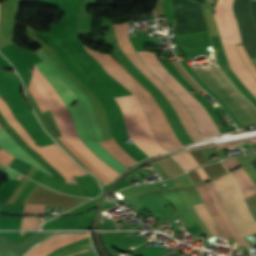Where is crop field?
Segmentation results:
<instances>
[{"mask_svg":"<svg viewBox=\"0 0 256 256\" xmlns=\"http://www.w3.org/2000/svg\"><path fill=\"white\" fill-rule=\"evenodd\" d=\"M233 2L234 0H218L214 10V20L217 24L230 68L256 98V80L241 61L234 46V44L242 43V41L233 13Z\"/></svg>","mask_w":256,"mask_h":256,"instance_id":"8a807250","label":"crop field"},{"mask_svg":"<svg viewBox=\"0 0 256 256\" xmlns=\"http://www.w3.org/2000/svg\"><path fill=\"white\" fill-rule=\"evenodd\" d=\"M142 61L149 69L177 96L187 92L177 80L159 62L155 53L138 52ZM180 100L194 116L200 132L204 137L218 134L219 131L205 108L189 93L179 96Z\"/></svg>","mask_w":256,"mask_h":256,"instance_id":"ac0d7876","label":"crop field"},{"mask_svg":"<svg viewBox=\"0 0 256 256\" xmlns=\"http://www.w3.org/2000/svg\"><path fill=\"white\" fill-rule=\"evenodd\" d=\"M115 34L122 52L135 64V66L165 95L177 112L181 122L185 126L192 140L195 142L204 138L197 130L194 120L188 109L166 88L140 61L134 51L128 32V22L124 24H114Z\"/></svg>","mask_w":256,"mask_h":256,"instance_id":"34b2d1b8","label":"crop field"},{"mask_svg":"<svg viewBox=\"0 0 256 256\" xmlns=\"http://www.w3.org/2000/svg\"><path fill=\"white\" fill-rule=\"evenodd\" d=\"M115 100L122 111L130 138L149 156L164 152L165 150L154 139L138 100L133 95L117 97Z\"/></svg>","mask_w":256,"mask_h":256,"instance_id":"412701ff","label":"crop field"},{"mask_svg":"<svg viewBox=\"0 0 256 256\" xmlns=\"http://www.w3.org/2000/svg\"><path fill=\"white\" fill-rule=\"evenodd\" d=\"M213 183L242 237L256 233V225L232 176L227 173L213 180Z\"/></svg>","mask_w":256,"mask_h":256,"instance_id":"f4fd0767","label":"crop field"},{"mask_svg":"<svg viewBox=\"0 0 256 256\" xmlns=\"http://www.w3.org/2000/svg\"><path fill=\"white\" fill-rule=\"evenodd\" d=\"M104 57H106L117 69H119L125 76H127L131 81H133L137 86L140 87V89L145 93V95L148 97V99L152 102L154 108L156 109L159 117L161 118L164 128L172 141V143L177 147H182L181 143L178 141V139L175 137L170 125L168 124L164 114L160 110L158 104L155 102L151 94L135 79L133 78L124 68H122L119 63L113 59L110 55L102 54Z\"/></svg>","mask_w":256,"mask_h":256,"instance_id":"dd49c442","label":"crop field"},{"mask_svg":"<svg viewBox=\"0 0 256 256\" xmlns=\"http://www.w3.org/2000/svg\"><path fill=\"white\" fill-rule=\"evenodd\" d=\"M7 121L32 149L38 152L43 158H45L53 167H55L63 175L66 182L76 183L73 177L59 163H57L53 158H51L48 154H46L41 148L35 145V142L27 134V132L21 127V125L17 122V120H7Z\"/></svg>","mask_w":256,"mask_h":256,"instance_id":"e52e79f7","label":"crop field"},{"mask_svg":"<svg viewBox=\"0 0 256 256\" xmlns=\"http://www.w3.org/2000/svg\"><path fill=\"white\" fill-rule=\"evenodd\" d=\"M35 66L44 75V77L50 82L51 86L56 90V92L62 98L65 105L70 104L75 98H77L72 93V91L46 67V65L43 62L36 64Z\"/></svg>","mask_w":256,"mask_h":256,"instance_id":"d8731c3e","label":"crop field"},{"mask_svg":"<svg viewBox=\"0 0 256 256\" xmlns=\"http://www.w3.org/2000/svg\"><path fill=\"white\" fill-rule=\"evenodd\" d=\"M43 149L58 161L71 175L86 174L56 144L43 147Z\"/></svg>","mask_w":256,"mask_h":256,"instance_id":"5a996713","label":"crop field"},{"mask_svg":"<svg viewBox=\"0 0 256 256\" xmlns=\"http://www.w3.org/2000/svg\"><path fill=\"white\" fill-rule=\"evenodd\" d=\"M208 190L210 191L213 199H214V202L220 212V214L222 215L223 219L225 220L227 226L229 227V229L231 230L233 236L236 238V240L238 241L239 243V246H243V245H246L243 241V239L241 238V236L239 235V233L237 232L236 228L234 227V225L232 224L229 216H228V213L224 207V205L222 204L213 184L211 183V181L205 183ZM244 247H247V246H243L241 248H244Z\"/></svg>","mask_w":256,"mask_h":256,"instance_id":"3316defc","label":"crop field"},{"mask_svg":"<svg viewBox=\"0 0 256 256\" xmlns=\"http://www.w3.org/2000/svg\"><path fill=\"white\" fill-rule=\"evenodd\" d=\"M198 191L200 192L207 208L210 210L212 216L214 217L215 221L217 222V224L219 225L220 229L222 230L224 236L226 235V233L229 231L224 220L222 219V217L220 216V214L218 213L210 193L208 192V190L206 189L205 185H200L197 186Z\"/></svg>","mask_w":256,"mask_h":256,"instance_id":"28ad6ade","label":"crop field"},{"mask_svg":"<svg viewBox=\"0 0 256 256\" xmlns=\"http://www.w3.org/2000/svg\"><path fill=\"white\" fill-rule=\"evenodd\" d=\"M89 235H64L60 239L44 246L39 251H37L32 256H46L48 253L52 252L53 250L65 246L67 244L73 243L77 240L83 239L88 237Z\"/></svg>","mask_w":256,"mask_h":256,"instance_id":"d1516ede","label":"crop field"},{"mask_svg":"<svg viewBox=\"0 0 256 256\" xmlns=\"http://www.w3.org/2000/svg\"><path fill=\"white\" fill-rule=\"evenodd\" d=\"M100 144L118 161L122 163L126 168L130 165L136 163L130 156H128L113 140H108L104 142H100Z\"/></svg>","mask_w":256,"mask_h":256,"instance_id":"22f410ed","label":"crop field"},{"mask_svg":"<svg viewBox=\"0 0 256 256\" xmlns=\"http://www.w3.org/2000/svg\"><path fill=\"white\" fill-rule=\"evenodd\" d=\"M194 207H195V210L198 213V215L201 217V219L205 223V225H207L211 235H217L218 236V234H219V236L223 237V235L221 234L218 227L215 228V230L217 231L218 234L214 230L213 227H215L217 225H216L215 221L212 219V217L210 216V214H209L208 210L205 208V206L203 204H201V205H196Z\"/></svg>","mask_w":256,"mask_h":256,"instance_id":"cbeb9de0","label":"crop field"},{"mask_svg":"<svg viewBox=\"0 0 256 256\" xmlns=\"http://www.w3.org/2000/svg\"><path fill=\"white\" fill-rule=\"evenodd\" d=\"M64 146L70 150L74 155L78 157V159L81 161V163L89 168L91 171H93L97 177L102 181L103 184L109 182L108 178L103 175L100 171H98L95 167H93L75 148H73L67 141H65L62 137L58 138Z\"/></svg>","mask_w":256,"mask_h":256,"instance_id":"5142ce71","label":"crop field"},{"mask_svg":"<svg viewBox=\"0 0 256 256\" xmlns=\"http://www.w3.org/2000/svg\"><path fill=\"white\" fill-rule=\"evenodd\" d=\"M28 90L30 91L33 98L37 102L41 112L49 109L46 102L44 101L43 97L40 95L38 89L36 88V86L34 85V83L31 80H30Z\"/></svg>","mask_w":256,"mask_h":256,"instance_id":"d9b57169","label":"crop field"},{"mask_svg":"<svg viewBox=\"0 0 256 256\" xmlns=\"http://www.w3.org/2000/svg\"><path fill=\"white\" fill-rule=\"evenodd\" d=\"M236 46H237V49H238L243 61L245 62V64L248 66V68L251 70V72L256 77V68H255L254 64L252 63V61L250 60L243 44H239V45H236Z\"/></svg>","mask_w":256,"mask_h":256,"instance_id":"733c2abd","label":"crop field"},{"mask_svg":"<svg viewBox=\"0 0 256 256\" xmlns=\"http://www.w3.org/2000/svg\"><path fill=\"white\" fill-rule=\"evenodd\" d=\"M173 156L177 159L176 161L184 168L185 171L193 169V166L183 157L181 153L174 154Z\"/></svg>","mask_w":256,"mask_h":256,"instance_id":"4a817a6b","label":"crop field"},{"mask_svg":"<svg viewBox=\"0 0 256 256\" xmlns=\"http://www.w3.org/2000/svg\"><path fill=\"white\" fill-rule=\"evenodd\" d=\"M14 158L15 157H13L8 152H6V151H4L3 149L0 148V162L1 163L8 166Z\"/></svg>","mask_w":256,"mask_h":256,"instance_id":"bc2a9ffb","label":"crop field"},{"mask_svg":"<svg viewBox=\"0 0 256 256\" xmlns=\"http://www.w3.org/2000/svg\"><path fill=\"white\" fill-rule=\"evenodd\" d=\"M0 111L4 115L5 119L15 118L11 110L6 106L3 100L0 98Z\"/></svg>","mask_w":256,"mask_h":256,"instance_id":"214f88e0","label":"crop field"},{"mask_svg":"<svg viewBox=\"0 0 256 256\" xmlns=\"http://www.w3.org/2000/svg\"><path fill=\"white\" fill-rule=\"evenodd\" d=\"M182 154L191 162L194 168L200 166L189 152H182Z\"/></svg>","mask_w":256,"mask_h":256,"instance_id":"92a150f3","label":"crop field"},{"mask_svg":"<svg viewBox=\"0 0 256 256\" xmlns=\"http://www.w3.org/2000/svg\"><path fill=\"white\" fill-rule=\"evenodd\" d=\"M196 171L198 172V174L200 175L201 179L203 181L208 180V177L206 176V174L203 172V170L201 169V167L196 168Z\"/></svg>","mask_w":256,"mask_h":256,"instance_id":"dafd665d","label":"crop field"},{"mask_svg":"<svg viewBox=\"0 0 256 256\" xmlns=\"http://www.w3.org/2000/svg\"><path fill=\"white\" fill-rule=\"evenodd\" d=\"M85 251H88V250L80 251V252H78V253L85 252ZM76 254H77V253H76ZM73 255H74V254H73ZM70 256H72V255H70Z\"/></svg>","mask_w":256,"mask_h":256,"instance_id":"00972430","label":"crop field"},{"mask_svg":"<svg viewBox=\"0 0 256 256\" xmlns=\"http://www.w3.org/2000/svg\"><path fill=\"white\" fill-rule=\"evenodd\" d=\"M0 128H2L1 125H0Z\"/></svg>","mask_w":256,"mask_h":256,"instance_id":"a9b5d70f","label":"crop field"}]
</instances>
